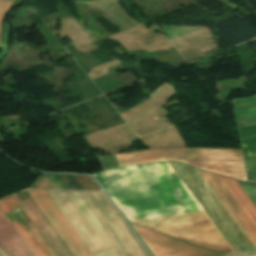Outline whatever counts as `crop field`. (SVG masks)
<instances>
[{
    "mask_svg": "<svg viewBox=\"0 0 256 256\" xmlns=\"http://www.w3.org/2000/svg\"><path fill=\"white\" fill-rule=\"evenodd\" d=\"M128 221L201 212L168 162L95 173ZM154 256H223L233 248L205 212L132 221Z\"/></svg>",
    "mask_w": 256,
    "mask_h": 256,
    "instance_id": "crop-field-1",
    "label": "crop field"
},
{
    "mask_svg": "<svg viewBox=\"0 0 256 256\" xmlns=\"http://www.w3.org/2000/svg\"><path fill=\"white\" fill-rule=\"evenodd\" d=\"M48 193L93 256H148L104 193Z\"/></svg>",
    "mask_w": 256,
    "mask_h": 256,
    "instance_id": "crop-field-2",
    "label": "crop field"
},
{
    "mask_svg": "<svg viewBox=\"0 0 256 256\" xmlns=\"http://www.w3.org/2000/svg\"><path fill=\"white\" fill-rule=\"evenodd\" d=\"M119 167L161 161L179 160L197 168L246 179L241 150L160 148L116 154Z\"/></svg>",
    "mask_w": 256,
    "mask_h": 256,
    "instance_id": "crop-field-3",
    "label": "crop field"
},
{
    "mask_svg": "<svg viewBox=\"0 0 256 256\" xmlns=\"http://www.w3.org/2000/svg\"><path fill=\"white\" fill-rule=\"evenodd\" d=\"M238 254L256 252V248L215 196L196 169L170 162Z\"/></svg>",
    "mask_w": 256,
    "mask_h": 256,
    "instance_id": "crop-field-4",
    "label": "crop field"
},
{
    "mask_svg": "<svg viewBox=\"0 0 256 256\" xmlns=\"http://www.w3.org/2000/svg\"><path fill=\"white\" fill-rule=\"evenodd\" d=\"M73 256H92L47 191H27Z\"/></svg>",
    "mask_w": 256,
    "mask_h": 256,
    "instance_id": "crop-field-5",
    "label": "crop field"
},
{
    "mask_svg": "<svg viewBox=\"0 0 256 256\" xmlns=\"http://www.w3.org/2000/svg\"><path fill=\"white\" fill-rule=\"evenodd\" d=\"M198 170V169H197ZM216 196L220 199L235 221L256 247V225L228 190L218 175L198 170Z\"/></svg>",
    "mask_w": 256,
    "mask_h": 256,
    "instance_id": "crop-field-6",
    "label": "crop field"
},
{
    "mask_svg": "<svg viewBox=\"0 0 256 256\" xmlns=\"http://www.w3.org/2000/svg\"><path fill=\"white\" fill-rule=\"evenodd\" d=\"M19 205L25 211L27 216L30 218L32 223L35 225L37 230L40 232L42 237L48 243L50 248L53 250L56 256H71L69 251L66 249L64 244L61 242L59 237L56 235L54 230L51 228L49 223L46 221L44 216L41 214L39 209L33 203L31 198L21 201L17 194L13 195Z\"/></svg>",
    "mask_w": 256,
    "mask_h": 256,
    "instance_id": "crop-field-7",
    "label": "crop field"
},
{
    "mask_svg": "<svg viewBox=\"0 0 256 256\" xmlns=\"http://www.w3.org/2000/svg\"><path fill=\"white\" fill-rule=\"evenodd\" d=\"M2 202L29 238L40 256H55L13 196L2 199Z\"/></svg>",
    "mask_w": 256,
    "mask_h": 256,
    "instance_id": "crop-field-8",
    "label": "crop field"
},
{
    "mask_svg": "<svg viewBox=\"0 0 256 256\" xmlns=\"http://www.w3.org/2000/svg\"><path fill=\"white\" fill-rule=\"evenodd\" d=\"M64 189L101 190L94 180L82 176L54 175ZM31 188L62 189L52 175L41 174Z\"/></svg>",
    "mask_w": 256,
    "mask_h": 256,
    "instance_id": "crop-field-9",
    "label": "crop field"
},
{
    "mask_svg": "<svg viewBox=\"0 0 256 256\" xmlns=\"http://www.w3.org/2000/svg\"><path fill=\"white\" fill-rule=\"evenodd\" d=\"M0 244L9 256H33L0 209Z\"/></svg>",
    "mask_w": 256,
    "mask_h": 256,
    "instance_id": "crop-field-10",
    "label": "crop field"
},
{
    "mask_svg": "<svg viewBox=\"0 0 256 256\" xmlns=\"http://www.w3.org/2000/svg\"><path fill=\"white\" fill-rule=\"evenodd\" d=\"M249 181L256 182V126L239 128Z\"/></svg>",
    "mask_w": 256,
    "mask_h": 256,
    "instance_id": "crop-field-11",
    "label": "crop field"
},
{
    "mask_svg": "<svg viewBox=\"0 0 256 256\" xmlns=\"http://www.w3.org/2000/svg\"><path fill=\"white\" fill-rule=\"evenodd\" d=\"M220 177L230 189V191L233 193V195L236 197V199L239 201V203L246 210V212L249 214V216L252 218V220L256 223V207L242 190V188L239 186V184L236 182V180L224 176Z\"/></svg>",
    "mask_w": 256,
    "mask_h": 256,
    "instance_id": "crop-field-12",
    "label": "crop field"
},
{
    "mask_svg": "<svg viewBox=\"0 0 256 256\" xmlns=\"http://www.w3.org/2000/svg\"><path fill=\"white\" fill-rule=\"evenodd\" d=\"M0 208L2 209V211L5 213V215L7 216V218L10 220V222L12 223V225L15 227V229L17 230V232L20 234V236L22 237V239L25 241V243L27 244V246L30 248V250L32 251V253L34 254V256H39V254L37 253V251L35 250V248L32 246V244L30 243V241L28 240V238L25 236V234L23 233V231L20 229V227L18 226V224L16 223V221L13 219V217L11 216V214L8 212V210L6 209V207L3 205V203L0 200Z\"/></svg>",
    "mask_w": 256,
    "mask_h": 256,
    "instance_id": "crop-field-13",
    "label": "crop field"
},
{
    "mask_svg": "<svg viewBox=\"0 0 256 256\" xmlns=\"http://www.w3.org/2000/svg\"><path fill=\"white\" fill-rule=\"evenodd\" d=\"M11 5H12V2L0 0V27H1V23H2V20H3L4 14H5L6 11L9 10Z\"/></svg>",
    "mask_w": 256,
    "mask_h": 256,
    "instance_id": "crop-field-14",
    "label": "crop field"
},
{
    "mask_svg": "<svg viewBox=\"0 0 256 256\" xmlns=\"http://www.w3.org/2000/svg\"><path fill=\"white\" fill-rule=\"evenodd\" d=\"M237 126H249V125H256V117L255 118H247V119H239L236 120Z\"/></svg>",
    "mask_w": 256,
    "mask_h": 256,
    "instance_id": "crop-field-15",
    "label": "crop field"
},
{
    "mask_svg": "<svg viewBox=\"0 0 256 256\" xmlns=\"http://www.w3.org/2000/svg\"><path fill=\"white\" fill-rule=\"evenodd\" d=\"M0 256H7L4 251L2 250V248L0 247Z\"/></svg>",
    "mask_w": 256,
    "mask_h": 256,
    "instance_id": "crop-field-16",
    "label": "crop field"
},
{
    "mask_svg": "<svg viewBox=\"0 0 256 256\" xmlns=\"http://www.w3.org/2000/svg\"><path fill=\"white\" fill-rule=\"evenodd\" d=\"M244 256H256V254H251V255H244Z\"/></svg>",
    "mask_w": 256,
    "mask_h": 256,
    "instance_id": "crop-field-17",
    "label": "crop field"
},
{
    "mask_svg": "<svg viewBox=\"0 0 256 256\" xmlns=\"http://www.w3.org/2000/svg\"><path fill=\"white\" fill-rule=\"evenodd\" d=\"M0 33H1V28H0ZM0 43H1V40H0Z\"/></svg>",
    "mask_w": 256,
    "mask_h": 256,
    "instance_id": "crop-field-18",
    "label": "crop field"
},
{
    "mask_svg": "<svg viewBox=\"0 0 256 256\" xmlns=\"http://www.w3.org/2000/svg\"><path fill=\"white\" fill-rule=\"evenodd\" d=\"M8 1H12L13 2V0H8Z\"/></svg>",
    "mask_w": 256,
    "mask_h": 256,
    "instance_id": "crop-field-19",
    "label": "crop field"
},
{
    "mask_svg": "<svg viewBox=\"0 0 256 256\" xmlns=\"http://www.w3.org/2000/svg\"><path fill=\"white\" fill-rule=\"evenodd\" d=\"M21 1V0H20Z\"/></svg>",
    "mask_w": 256,
    "mask_h": 256,
    "instance_id": "crop-field-20",
    "label": "crop field"
}]
</instances>
